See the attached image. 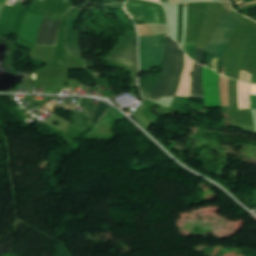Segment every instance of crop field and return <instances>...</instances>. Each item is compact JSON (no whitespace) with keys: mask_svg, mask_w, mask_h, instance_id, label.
Here are the masks:
<instances>
[{"mask_svg":"<svg viewBox=\"0 0 256 256\" xmlns=\"http://www.w3.org/2000/svg\"><path fill=\"white\" fill-rule=\"evenodd\" d=\"M163 48L164 43H160L156 36L140 37L141 71L162 65Z\"/></svg>","mask_w":256,"mask_h":256,"instance_id":"obj_4","label":"crop field"},{"mask_svg":"<svg viewBox=\"0 0 256 256\" xmlns=\"http://www.w3.org/2000/svg\"><path fill=\"white\" fill-rule=\"evenodd\" d=\"M158 77H152V78H148V79H141L140 78L139 85H140V89H141L142 93L149 96V94L151 93Z\"/></svg>","mask_w":256,"mask_h":256,"instance_id":"obj_12","label":"crop field"},{"mask_svg":"<svg viewBox=\"0 0 256 256\" xmlns=\"http://www.w3.org/2000/svg\"><path fill=\"white\" fill-rule=\"evenodd\" d=\"M246 2L252 1V0H245Z\"/></svg>","mask_w":256,"mask_h":256,"instance_id":"obj_19","label":"crop field"},{"mask_svg":"<svg viewBox=\"0 0 256 256\" xmlns=\"http://www.w3.org/2000/svg\"><path fill=\"white\" fill-rule=\"evenodd\" d=\"M241 20L233 17L225 10L220 23L216 27L214 34L208 44V67L220 72L224 50L229 42L230 36Z\"/></svg>","mask_w":256,"mask_h":256,"instance_id":"obj_2","label":"crop field"},{"mask_svg":"<svg viewBox=\"0 0 256 256\" xmlns=\"http://www.w3.org/2000/svg\"><path fill=\"white\" fill-rule=\"evenodd\" d=\"M204 51L200 48H196V62L202 64Z\"/></svg>","mask_w":256,"mask_h":256,"instance_id":"obj_14","label":"crop field"},{"mask_svg":"<svg viewBox=\"0 0 256 256\" xmlns=\"http://www.w3.org/2000/svg\"><path fill=\"white\" fill-rule=\"evenodd\" d=\"M110 59L124 63L134 70L133 85H137V77L139 71L137 59V33L136 31L126 34V37L120 39L117 46L111 52Z\"/></svg>","mask_w":256,"mask_h":256,"instance_id":"obj_3","label":"crop field"},{"mask_svg":"<svg viewBox=\"0 0 256 256\" xmlns=\"http://www.w3.org/2000/svg\"><path fill=\"white\" fill-rule=\"evenodd\" d=\"M127 5L145 9V13H146V17L148 19V23H160L159 20H158L156 8L136 5V4H132V3H129V2L127 3Z\"/></svg>","mask_w":256,"mask_h":256,"instance_id":"obj_11","label":"crop field"},{"mask_svg":"<svg viewBox=\"0 0 256 256\" xmlns=\"http://www.w3.org/2000/svg\"><path fill=\"white\" fill-rule=\"evenodd\" d=\"M60 19L52 21L44 17L39 29L36 46H55Z\"/></svg>","mask_w":256,"mask_h":256,"instance_id":"obj_7","label":"crop field"},{"mask_svg":"<svg viewBox=\"0 0 256 256\" xmlns=\"http://www.w3.org/2000/svg\"><path fill=\"white\" fill-rule=\"evenodd\" d=\"M196 43L185 42L184 50L194 60V46Z\"/></svg>","mask_w":256,"mask_h":256,"instance_id":"obj_13","label":"crop field"},{"mask_svg":"<svg viewBox=\"0 0 256 256\" xmlns=\"http://www.w3.org/2000/svg\"><path fill=\"white\" fill-rule=\"evenodd\" d=\"M202 82L206 108L221 107L219 92V74L203 67Z\"/></svg>","mask_w":256,"mask_h":256,"instance_id":"obj_5","label":"crop field"},{"mask_svg":"<svg viewBox=\"0 0 256 256\" xmlns=\"http://www.w3.org/2000/svg\"><path fill=\"white\" fill-rule=\"evenodd\" d=\"M110 107L111 106H109L108 104L100 101L90 120V123L97 126V124L100 122V120L103 118V116L106 114Z\"/></svg>","mask_w":256,"mask_h":256,"instance_id":"obj_10","label":"crop field"},{"mask_svg":"<svg viewBox=\"0 0 256 256\" xmlns=\"http://www.w3.org/2000/svg\"><path fill=\"white\" fill-rule=\"evenodd\" d=\"M86 67H96L94 62L84 60Z\"/></svg>","mask_w":256,"mask_h":256,"instance_id":"obj_17","label":"crop field"},{"mask_svg":"<svg viewBox=\"0 0 256 256\" xmlns=\"http://www.w3.org/2000/svg\"><path fill=\"white\" fill-rule=\"evenodd\" d=\"M7 2H8V0H0V15H1L3 9L5 8Z\"/></svg>","mask_w":256,"mask_h":256,"instance_id":"obj_15","label":"crop field"},{"mask_svg":"<svg viewBox=\"0 0 256 256\" xmlns=\"http://www.w3.org/2000/svg\"><path fill=\"white\" fill-rule=\"evenodd\" d=\"M92 99L81 98L79 105L84 106V109L87 110L86 113L74 111L72 115V122L81 124L84 127H88V122L94 112L96 104L91 103Z\"/></svg>","mask_w":256,"mask_h":256,"instance_id":"obj_8","label":"crop field"},{"mask_svg":"<svg viewBox=\"0 0 256 256\" xmlns=\"http://www.w3.org/2000/svg\"><path fill=\"white\" fill-rule=\"evenodd\" d=\"M202 67L195 64L193 78H192V93L191 97H203V89L201 82Z\"/></svg>","mask_w":256,"mask_h":256,"instance_id":"obj_9","label":"crop field"},{"mask_svg":"<svg viewBox=\"0 0 256 256\" xmlns=\"http://www.w3.org/2000/svg\"><path fill=\"white\" fill-rule=\"evenodd\" d=\"M183 66V51L179 44L166 35L163 72L149 98L159 100L161 96L175 95Z\"/></svg>","mask_w":256,"mask_h":256,"instance_id":"obj_1","label":"crop field"},{"mask_svg":"<svg viewBox=\"0 0 256 256\" xmlns=\"http://www.w3.org/2000/svg\"><path fill=\"white\" fill-rule=\"evenodd\" d=\"M84 11V10H83ZM82 10L71 8L67 20V27L65 32L66 51L73 57L81 59L80 51V32H74V25Z\"/></svg>","mask_w":256,"mask_h":256,"instance_id":"obj_6","label":"crop field"},{"mask_svg":"<svg viewBox=\"0 0 256 256\" xmlns=\"http://www.w3.org/2000/svg\"><path fill=\"white\" fill-rule=\"evenodd\" d=\"M124 4H108V6L115 7V8H122Z\"/></svg>","mask_w":256,"mask_h":256,"instance_id":"obj_18","label":"crop field"},{"mask_svg":"<svg viewBox=\"0 0 256 256\" xmlns=\"http://www.w3.org/2000/svg\"><path fill=\"white\" fill-rule=\"evenodd\" d=\"M251 108H256V95H251Z\"/></svg>","mask_w":256,"mask_h":256,"instance_id":"obj_16","label":"crop field"}]
</instances>
